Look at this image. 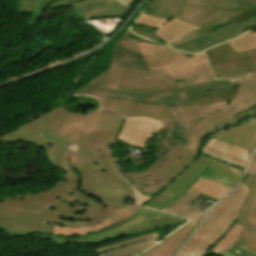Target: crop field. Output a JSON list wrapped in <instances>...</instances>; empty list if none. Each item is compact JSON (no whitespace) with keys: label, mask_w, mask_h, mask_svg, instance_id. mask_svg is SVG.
Instances as JSON below:
<instances>
[{"label":"crop field","mask_w":256,"mask_h":256,"mask_svg":"<svg viewBox=\"0 0 256 256\" xmlns=\"http://www.w3.org/2000/svg\"><path fill=\"white\" fill-rule=\"evenodd\" d=\"M245 35L246 37H248L249 39H251L252 41L256 42V33L254 32H248V33H245L243 34Z\"/></svg>","instance_id":"obj_40"},{"label":"crop field","mask_w":256,"mask_h":256,"mask_svg":"<svg viewBox=\"0 0 256 256\" xmlns=\"http://www.w3.org/2000/svg\"><path fill=\"white\" fill-rule=\"evenodd\" d=\"M249 192L247 186L241 185L231 196L222 200L183 250L198 256H205L234 224ZM200 236L203 238L200 239Z\"/></svg>","instance_id":"obj_5"},{"label":"crop field","mask_w":256,"mask_h":256,"mask_svg":"<svg viewBox=\"0 0 256 256\" xmlns=\"http://www.w3.org/2000/svg\"><path fill=\"white\" fill-rule=\"evenodd\" d=\"M206 52L213 69L248 65L247 72H256V49L236 53L228 42H226Z\"/></svg>","instance_id":"obj_12"},{"label":"crop field","mask_w":256,"mask_h":256,"mask_svg":"<svg viewBox=\"0 0 256 256\" xmlns=\"http://www.w3.org/2000/svg\"><path fill=\"white\" fill-rule=\"evenodd\" d=\"M215 80H231L234 82H244V83L256 84V73H247V76L220 78V79H215Z\"/></svg>","instance_id":"obj_31"},{"label":"crop field","mask_w":256,"mask_h":256,"mask_svg":"<svg viewBox=\"0 0 256 256\" xmlns=\"http://www.w3.org/2000/svg\"><path fill=\"white\" fill-rule=\"evenodd\" d=\"M204 146L213 149V150H217L223 153H226L232 157H235L237 159H240L242 161H247V158L249 156V151L239 148L237 146L222 142V141H217L213 138H208L205 143Z\"/></svg>","instance_id":"obj_25"},{"label":"crop field","mask_w":256,"mask_h":256,"mask_svg":"<svg viewBox=\"0 0 256 256\" xmlns=\"http://www.w3.org/2000/svg\"><path fill=\"white\" fill-rule=\"evenodd\" d=\"M240 84L232 83L230 92H211L207 94L189 95V102L182 108L192 112L208 103L232 99L235 97Z\"/></svg>","instance_id":"obj_24"},{"label":"crop field","mask_w":256,"mask_h":256,"mask_svg":"<svg viewBox=\"0 0 256 256\" xmlns=\"http://www.w3.org/2000/svg\"><path fill=\"white\" fill-rule=\"evenodd\" d=\"M200 156L214 161L213 164L209 166L201 175L202 177L231 188H234L237 185L242 175V169H238L224 162L217 161L201 153Z\"/></svg>","instance_id":"obj_20"},{"label":"crop field","mask_w":256,"mask_h":256,"mask_svg":"<svg viewBox=\"0 0 256 256\" xmlns=\"http://www.w3.org/2000/svg\"><path fill=\"white\" fill-rule=\"evenodd\" d=\"M135 194H136V199H137V202L141 205H144L146 204L149 200H151V197H147L145 195H143L142 193H140L139 191H137L135 189Z\"/></svg>","instance_id":"obj_36"},{"label":"crop field","mask_w":256,"mask_h":256,"mask_svg":"<svg viewBox=\"0 0 256 256\" xmlns=\"http://www.w3.org/2000/svg\"><path fill=\"white\" fill-rule=\"evenodd\" d=\"M255 115H256V107L249 109L239 115H236L235 118L239 120V119H243V118H247Z\"/></svg>","instance_id":"obj_35"},{"label":"crop field","mask_w":256,"mask_h":256,"mask_svg":"<svg viewBox=\"0 0 256 256\" xmlns=\"http://www.w3.org/2000/svg\"><path fill=\"white\" fill-rule=\"evenodd\" d=\"M166 235L157 236L156 232L135 239L114 244L105 248L95 250L98 256H134L149 246L154 245L155 240H160ZM163 239V238H162Z\"/></svg>","instance_id":"obj_19"},{"label":"crop field","mask_w":256,"mask_h":256,"mask_svg":"<svg viewBox=\"0 0 256 256\" xmlns=\"http://www.w3.org/2000/svg\"><path fill=\"white\" fill-rule=\"evenodd\" d=\"M202 150H205V151H208V152H211V153L220 155V156H222V157H225V158L234 160V161L239 162V163H242V164H244V165L246 164L245 162H242V161H240V160H237V159H235V158H232V157H230V156H228V155H226V154H223V153H220V152H217V151L210 150V149H208V148H206V147H204V146L202 147Z\"/></svg>","instance_id":"obj_37"},{"label":"crop field","mask_w":256,"mask_h":256,"mask_svg":"<svg viewBox=\"0 0 256 256\" xmlns=\"http://www.w3.org/2000/svg\"><path fill=\"white\" fill-rule=\"evenodd\" d=\"M177 256H193V255L180 251V253Z\"/></svg>","instance_id":"obj_42"},{"label":"crop field","mask_w":256,"mask_h":256,"mask_svg":"<svg viewBox=\"0 0 256 256\" xmlns=\"http://www.w3.org/2000/svg\"><path fill=\"white\" fill-rule=\"evenodd\" d=\"M253 220H256V214H255V216L253 217Z\"/></svg>","instance_id":"obj_44"},{"label":"crop field","mask_w":256,"mask_h":256,"mask_svg":"<svg viewBox=\"0 0 256 256\" xmlns=\"http://www.w3.org/2000/svg\"><path fill=\"white\" fill-rule=\"evenodd\" d=\"M120 124L121 118L99 109L79 115L58 108L1 135L0 141L40 147L64 173L58 184L27 195L2 196L0 229L15 237L53 234V224L91 226L109 217L127 197L134 199L108 149L117 144L113 137Z\"/></svg>","instance_id":"obj_1"},{"label":"crop field","mask_w":256,"mask_h":256,"mask_svg":"<svg viewBox=\"0 0 256 256\" xmlns=\"http://www.w3.org/2000/svg\"><path fill=\"white\" fill-rule=\"evenodd\" d=\"M212 208H208L200 215L195 217L196 219L191 220L189 223L184 225L183 227L177 229L172 234L164 238L157 245L148 249L146 252L138 255V256H172V254L176 251L177 247L185 240L186 236L192 231V229L198 224V222L209 212Z\"/></svg>","instance_id":"obj_18"},{"label":"crop field","mask_w":256,"mask_h":256,"mask_svg":"<svg viewBox=\"0 0 256 256\" xmlns=\"http://www.w3.org/2000/svg\"><path fill=\"white\" fill-rule=\"evenodd\" d=\"M113 1L114 0H18L17 14L33 13L28 27L34 28L46 8L53 10L55 8L71 5L73 11L80 7Z\"/></svg>","instance_id":"obj_14"},{"label":"crop field","mask_w":256,"mask_h":256,"mask_svg":"<svg viewBox=\"0 0 256 256\" xmlns=\"http://www.w3.org/2000/svg\"><path fill=\"white\" fill-rule=\"evenodd\" d=\"M211 162L212 161L205 158L198 157L178 177H176L174 181L145 206L161 210L188 189L191 183L211 164Z\"/></svg>","instance_id":"obj_10"},{"label":"crop field","mask_w":256,"mask_h":256,"mask_svg":"<svg viewBox=\"0 0 256 256\" xmlns=\"http://www.w3.org/2000/svg\"><path fill=\"white\" fill-rule=\"evenodd\" d=\"M196 197H199L201 199L205 198L213 202L215 201V199L211 197L199 194L196 191H191L190 189H188L179 198L167 205L162 211L191 219L195 215H197L199 211L187 205L191 203Z\"/></svg>","instance_id":"obj_22"},{"label":"crop field","mask_w":256,"mask_h":256,"mask_svg":"<svg viewBox=\"0 0 256 256\" xmlns=\"http://www.w3.org/2000/svg\"><path fill=\"white\" fill-rule=\"evenodd\" d=\"M126 6H129L134 0H117Z\"/></svg>","instance_id":"obj_41"},{"label":"crop field","mask_w":256,"mask_h":256,"mask_svg":"<svg viewBox=\"0 0 256 256\" xmlns=\"http://www.w3.org/2000/svg\"><path fill=\"white\" fill-rule=\"evenodd\" d=\"M221 256H256V252L235 242L232 248L218 253Z\"/></svg>","instance_id":"obj_29"},{"label":"crop field","mask_w":256,"mask_h":256,"mask_svg":"<svg viewBox=\"0 0 256 256\" xmlns=\"http://www.w3.org/2000/svg\"><path fill=\"white\" fill-rule=\"evenodd\" d=\"M251 160L256 162V153L253 155Z\"/></svg>","instance_id":"obj_43"},{"label":"crop field","mask_w":256,"mask_h":256,"mask_svg":"<svg viewBox=\"0 0 256 256\" xmlns=\"http://www.w3.org/2000/svg\"><path fill=\"white\" fill-rule=\"evenodd\" d=\"M256 15V6L253 7L252 9H249L243 13H241L240 15L230 19V21H232L234 24L239 23L249 17L255 16Z\"/></svg>","instance_id":"obj_32"},{"label":"crop field","mask_w":256,"mask_h":256,"mask_svg":"<svg viewBox=\"0 0 256 256\" xmlns=\"http://www.w3.org/2000/svg\"><path fill=\"white\" fill-rule=\"evenodd\" d=\"M136 43L123 35L115 44L112 67L87 84L137 92L178 88L165 69L148 70Z\"/></svg>","instance_id":"obj_4"},{"label":"crop field","mask_w":256,"mask_h":256,"mask_svg":"<svg viewBox=\"0 0 256 256\" xmlns=\"http://www.w3.org/2000/svg\"><path fill=\"white\" fill-rule=\"evenodd\" d=\"M256 105V95L253 96L248 102L243 105L226 112V109L218 111L214 114L208 115L207 117L201 119L195 126L189 142L187 149L199 152L205 139L217 130L227 128L231 125L239 123L233 115L238 114L248 108Z\"/></svg>","instance_id":"obj_9"},{"label":"crop field","mask_w":256,"mask_h":256,"mask_svg":"<svg viewBox=\"0 0 256 256\" xmlns=\"http://www.w3.org/2000/svg\"><path fill=\"white\" fill-rule=\"evenodd\" d=\"M134 32L137 33V34H140L144 37L155 40L157 42L163 41L160 38H158L155 34L152 33L153 30H148V29H144V28H141V27H135Z\"/></svg>","instance_id":"obj_33"},{"label":"crop field","mask_w":256,"mask_h":256,"mask_svg":"<svg viewBox=\"0 0 256 256\" xmlns=\"http://www.w3.org/2000/svg\"><path fill=\"white\" fill-rule=\"evenodd\" d=\"M190 189L197 190L203 194L218 199L221 196L225 195L231 188L225 187L223 185L200 177L199 179H197L196 183L191 185Z\"/></svg>","instance_id":"obj_27"},{"label":"crop field","mask_w":256,"mask_h":256,"mask_svg":"<svg viewBox=\"0 0 256 256\" xmlns=\"http://www.w3.org/2000/svg\"><path fill=\"white\" fill-rule=\"evenodd\" d=\"M184 221L186 220L142 207L137 213L102 231L89 233L83 237L61 238L51 235L47 238H51V240L61 244L68 242L98 244L163 226L180 224Z\"/></svg>","instance_id":"obj_6"},{"label":"crop field","mask_w":256,"mask_h":256,"mask_svg":"<svg viewBox=\"0 0 256 256\" xmlns=\"http://www.w3.org/2000/svg\"><path fill=\"white\" fill-rule=\"evenodd\" d=\"M244 227L234 224L223 236V238L210 250L214 253L230 248L238 236L242 233Z\"/></svg>","instance_id":"obj_28"},{"label":"crop field","mask_w":256,"mask_h":256,"mask_svg":"<svg viewBox=\"0 0 256 256\" xmlns=\"http://www.w3.org/2000/svg\"><path fill=\"white\" fill-rule=\"evenodd\" d=\"M229 86H215L203 89H211V88H227ZM195 91V90H192ZM76 92H83L86 94H96L102 97L123 100V101H135V102H146L153 104H160L166 106H183L188 102V98L184 93L191 92L186 91L183 92L181 88L173 89V90H165V91H154V92H127V91H116L110 90L103 87L85 85L82 88L78 89Z\"/></svg>","instance_id":"obj_8"},{"label":"crop field","mask_w":256,"mask_h":256,"mask_svg":"<svg viewBox=\"0 0 256 256\" xmlns=\"http://www.w3.org/2000/svg\"><path fill=\"white\" fill-rule=\"evenodd\" d=\"M201 152L204 153V154H206V155H209V156H211V157H213V158H215V159H218V160H220V161L223 160L224 162L229 163V164H231V165H233V166H236V167H238V168H242V169L244 168V165H241V164H239V163L233 162V161H231V160L222 158V157H220V156H217V155H214V154H211V153L202 151V150H201Z\"/></svg>","instance_id":"obj_34"},{"label":"crop field","mask_w":256,"mask_h":256,"mask_svg":"<svg viewBox=\"0 0 256 256\" xmlns=\"http://www.w3.org/2000/svg\"><path fill=\"white\" fill-rule=\"evenodd\" d=\"M74 94H82L75 93ZM97 97L100 101L101 110L113 113L120 117H127L129 115H147L158 119L161 122H165L181 107H166L160 105L135 103V102H122L107 98Z\"/></svg>","instance_id":"obj_11"},{"label":"crop field","mask_w":256,"mask_h":256,"mask_svg":"<svg viewBox=\"0 0 256 256\" xmlns=\"http://www.w3.org/2000/svg\"><path fill=\"white\" fill-rule=\"evenodd\" d=\"M199 120L200 118L181 108L161 129L167 132V136L158 150L154 165L141 174L120 168V174L143 194L151 197L157 195L197 158L198 153L185 147Z\"/></svg>","instance_id":"obj_3"},{"label":"crop field","mask_w":256,"mask_h":256,"mask_svg":"<svg viewBox=\"0 0 256 256\" xmlns=\"http://www.w3.org/2000/svg\"><path fill=\"white\" fill-rule=\"evenodd\" d=\"M134 23L158 28L153 33L168 44L198 28L179 19L168 21L143 14H140Z\"/></svg>","instance_id":"obj_17"},{"label":"crop field","mask_w":256,"mask_h":256,"mask_svg":"<svg viewBox=\"0 0 256 256\" xmlns=\"http://www.w3.org/2000/svg\"><path fill=\"white\" fill-rule=\"evenodd\" d=\"M244 184L251 190L236 223L246 229L236 240L237 242L256 250V221L251 220L256 213V177H246Z\"/></svg>","instance_id":"obj_15"},{"label":"crop field","mask_w":256,"mask_h":256,"mask_svg":"<svg viewBox=\"0 0 256 256\" xmlns=\"http://www.w3.org/2000/svg\"><path fill=\"white\" fill-rule=\"evenodd\" d=\"M162 123L147 116H130L125 118L122 131L118 139L143 148L152 132H158Z\"/></svg>","instance_id":"obj_13"},{"label":"crop field","mask_w":256,"mask_h":256,"mask_svg":"<svg viewBox=\"0 0 256 256\" xmlns=\"http://www.w3.org/2000/svg\"><path fill=\"white\" fill-rule=\"evenodd\" d=\"M256 94V86L241 84L235 99L209 104L195 112L194 115L203 118L217 110L227 108V111L248 101Z\"/></svg>","instance_id":"obj_21"},{"label":"crop field","mask_w":256,"mask_h":256,"mask_svg":"<svg viewBox=\"0 0 256 256\" xmlns=\"http://www.w3.org/2000/svg\"><path fill=\"white\" fill-rule=\"evenodd\" d=\"M185 80L186 81L178 83V85L183 89V91L215 85H230V81L215 82L213 80L211 72L188 77L185 78Z\"/></svg>","instance_id":"obj_26"},{"label":"crop field","mask_w":256,"mask_h":256,"mask_svg":"<svg viewBox=\"0 0 256 256\" xmlns=\"http://www.w3.org/2000/svg\"><path fill=\"white\" fill-rule=\"evenodd\" d=\"M128 12H125L123 14H119V15H115V16H110V17H103V18H94V19H113V18H124V16L127 14Z\"/></svg>","instance_id":"obj_39"},{"label":"crop field","mask_w":256,"mask_h":256,"mask_svg":"<svg viewBox=\"0 0 256 256\" xmlns=\"http://www.w3.org/2000/svg\"><path fill=\"white\" fill-rule=\"evenodd\" d=\"M246 176H256V164L255 163L251 162Z\"/></svg>","instance_id":"obj_38"},{"label":"crop field","mask_w":256,"mask_h":256,"mask_svg":"<svg viewBox=\"0 0 256 256\" xmlns=\"http://www.w3.org/2000/svg\"><path fill=\"white\" fill-rule=\"evenodd\" d=\"M129 10L130 9L126 8L125 6L117 2H113V3L98 4L94 6L81 8L77 11H74L73 15L75 19L85 20V19H91L94 17H102V16L119 14Z\"/></svg>","instance_id":"obj_23"},{"label":"crop field","mask_w":256,"mask_h":256,"mask_svg":"<svg viewBox=\"0 0 256 256\" xmlns=\"http://www.w3.org/2000/svg\"><path fill=\"white\" fill-rule=\"evenodd\" d=\"M230 45L234 48L236 52L246 51L256 48V43L252 42L245 36H240L232 41H229Z\"/></svg>","instance_id":"obj_30"},{"label":"crop field","mask_w":256,"mask_h":256,"mask_svg":"<svg viewBox=\"0 0 256 256\" xmlns=\"http://www.w3.org/2000/svg\"><path fill=\"white\" fill-rule=\"evenodd\" d=\"M150 70L165 68L173 80L211 71L205 52L189 59L165 45L137 43Z\"/></svg>","instance_id":"obj_7"},{"label":"crop field","mask_w":256,"mask_h":256,"mask_svg":"<svg viewBox=\"0 0 256 256\" xmlns=\"http://www.w3.org/2000/svg\"><path fill=\"white\" fill-rule=\"evenodd\" d=\"M210 137L247 148L252 152L256 147V116L240 120L239 124L217 131Z\"/></svg>","instance_id":"obj_16"},{"label":"crop field","mask_w":256,"mask_h":256,"mask_svg":"<svg viewBox=\"0 0 256 256\" xmlns=\"http://www.w3.org/2000/svg\"><path fill=\"white\" fill-rule=\"evenodd\" d=\"M255 5L256 0H152L142 13L168 20L176 17L200 27L169 44L174 49L199 53L256 26V16L236 25L228 20Z\"/></svg>","instance_id":"obj_2"}]
</instances>
